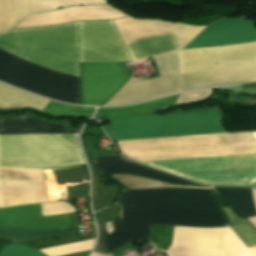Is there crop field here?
<instances>
[{"instance_id": "obj_27", "label": "crop field", "mask_w": 256, "mask_h": 256, "mask_svg": "<svg viewBox=\"0 0 256 256\" xmlns=\"http://www.w3.org/2000/svg\"><path fill=\"white\" fill-rule=\"evenodd\" d=\"M249 220L256 227V217L249 218Z\"/></svg>"}, {"instance_id": "obj_30", "label": "crop field", "mask_w": 256, "mask_h": 256, "mask_svg": "<svg viewBox=\"0 0 256 256\" xmlns=\"http://www.w3.org/2000/svg\"><path fill=\"white\" fill-rule=\"evenodd\" d=\"M91 256H101V255H98V254H95V253H92Z\"/></svg>"}, {"instance_id": "obj_10", "label": "crop field", "mask_w": 256, "mask_h": 256, "mask_svg": "<svg viewBox=\"0 0 256 256\" xmlns=\"http://www.w3.org/2000/svg\"><path fill=\"white\" fill-rule=\"evenodd\" d=\"M125 16L107 5L76 6L24 17L14 28L54 25L71 21L116 19Z\"/></svg>"}, {"instance_id": "obj_12", "label": "crop field", "mask_w": 256, "mask_h": 256, "mask_svg": "<svg viewBox=\"0 0 256 256\" xmlns=\"http://www.w3.org/2000/svg\"><path fill=\"white\" fill-rule=\"evenodd\" d=\"M0 225L29 229L70 227L67 214L41 217L39 204L0 209Z\"/></svg>"}, {"instance_id": "obj_14", "label": "crop field", "mask_w": 256, "mask_h": 256, "mask_svg": "<svg viewBox=\"0 0 256 256\" xmlns=\"http://www.w3.org/2000/svg\"><path fill=\"white\" fill-rule=\"evenodd\" d=\"M99 174L104 173H129L141 175L167 181L169 183L190 185L191 182L178 178L176 176L163 173L146 166L130 162L122 158L120 155L99 157L91 161ZM193 183V182H192Z\"/></svg>"}, {"instance_id": "obj_2", "label": "crop field", "mask_w": 256, "mask_h": 256, "mask_svg": "<svg viewBox=\"0 0 256 256\" xmlns=\"http://www.w3.org/2000/svg\"><path fill=\"white\" fill-rule=\"evenodd\" d=\"M0 49L40 66L78 76V22L0 32ZM1 50L0 81L80 104L79 78L26 62Z\"/></svg>"}, {"instance_id": "obj_29", "label": "crop field", "mask_w": 256, "mask_h": 256, "mask_svg": "<svg viewBox=\"0 0 256 256\" xmlns=\"http://www.w3.org/2000/svg\"><path fill=\"white\" fill-rule=\"evenodd\" d=\"M252 134H253V136H254V138H255V140H256V131H255V132H252Z\"/></svg>"}, {"instance_id": "obj_19", "label": "crop field", "mask_w": 256, "mask_h": 256, "mask_svg": "<svg viewBox=\"0 0 256 256\" xmlns=\"http://www.w3.org/2000/svg\"><path fill=\"white\" fill-rule=\"evenodd\" d=\"M94 241L95 239H92L84 242L64 245V246L40 250V251L45 253L47 256H62L66 254L89 250L92 248Z\"/></svg>"}, {"instance_id": "obj_15", "label": "crop field", "mask_w": 256, "mask_h": 256, "mask_svg": "<svg viewBox=\"0 0 256 256\" xmlns=\"http://www.w3.org/2000/svg\"><path fill=\"white\" fill-rule=\"evenodd\" d=\"M178 95L146 102L139 105L122 106L116 108H100L95 118L104 117L108 120L127 116L155 113L161 109L172 107Z\"/></svg>"}, {"instance_id": "obj_26", "label": "crop field", "mask_w": 256, "mask_h": 256, "mask_svg": "<svg viewBox=\"0 0 256 256\" xmlns=\"http://www.w3.org/2000/svg\"><path fill=\"white\" fill-rule=\"evenodd\" d=\"M99 227V241L94 251L103 254V223L98 224Z\"/></svg>"}, {"instance_id": "obj_21", "label": "crop field", "mask_w": 256, "mask_h": 256, "mask_svg": "<svg viewBox=\"0 0 256 256\" xmlns=\"http://www.w3.org/2000/svg\"><path fill=\"white\" fill-rule=\"evenodd\" d=\"M173 226L152 227L151 243L156 247L170 246L172 241Z\"/></svg>"}, {"instance_id": "obj_3", "label": "crop field", "mask_w": 256, "mask_h": 256, "mask_svg": "<svg viewBox=\"0 0 256 256\" xmlns=\"http://www.w3.org/2000/svg\"><path fill=\"white\" fill-rule=\"evenodd\" d=\"M121 218L106 232L104 254L136 240L149 239L153 225L230 226L213 190L162 188L124 190L117 199Z\"/></svg>"}, {"instance_id": "obj_9", "label": "crop field", "mask_w": 256, "mask_h": 256, "mask_svg": "<svg viewBox=\"0 0 256 256\" xmlns=\"http://www.w3.org/2000/svg\"><path fill=\"white\" fill-rule=\"evenodd\" d=\"M159 75L177 72L174 52L154 57ZM178 91V72L148 79L130 80L107 104L147 100Z\"/></svg>"}, {"instance_id": "obj_7", "label": "crop field", "mask_w": 256, "mask_h": 256, "mask_svg": "<svg viewBox=\"0 0 256 256\" xmlns=\"http://www.w3.org/2000/svg\"><path fill=\"white\" fill-rule=\"evenodd\" d=\"M117 30L125 45H131L167 34L180 32L196 27L153 20H134L130 17L114 20ZM204 27L178 33L185 46ZM177 34L151 41L127 46L132 60L170 52L182 48Z\"/></svg>"}, {"instance_id": "obj_8", "label": "crop field", "mask_w": 256, "mask_h": 256, "mask_svg": "<svg viewBox=\"0 0 256 256\" xmlns=\"http://www.w3.org/2000/svg\"><path fill=\"white\" fill-rule=\"evenodd\" d=\"M167 252L173 256H256V247L247 248L229 227H174Z\"/></svg>"}, {"instance_id": "obj_5", "label": "crop field", "mask_w": 256, "mask_h": 256, "mask_svg": "<svg viewBox=\"0 0 256 256\" xmlns=\"http://www.w3.org/2000/svg\"><path fill=\"white\" fill-rule=\"evenodd\" d=\"M68 132L64 123L51 124L22 117L0 120V135L58 134ZM78 134L0 136V166L52 168L82 164Z\"/></svg>"}, {"instance_id": "obj_23", "label": "crop field", "mask_w": 256, "mask_h": 256, "mask_svg": "<svg viewBox=\"0 0 256 256\" xmlns=\"http://www.w3.org/2000/svg\"><path fill=\"white\" fill-rule=\"evenodd\" d=\"M231 228L247 247L256 245V231L250 229L246 222Z\"/></svg>"}, {"instance_id": "obj_28", "label": "crop field", "mask_w": 256, "mask_h": 256, "mask_svg": "<svg viewBox=\"0 0 256 256\" xmlns=\"http://www.w3.org/2000/svg\"><path fill=\"white\" fill-rule=\"evenodd\" d=\"M253 80H256V70H255V73H254V75H253L251 81H253Z\"/></svg>"}, {"instance_id": "obj_22", "label": "crop field", "mask_w": 256, "mask_h": 256, "mask_svg": "<svg viewBox=\"0 0 256 256\" xmlns=\"http://www.w3.org/2000/svg\"><path fill=\"white\" fill-rule=\"evenodd\" d=\"M0 256H45L29 247L19 244H10L0 251Z\"/></svg>"}, {"instance_id": "obj_6", "label": "crop field", "mask_w": 256, "mask_h": 256, "mask_svg": "<svg viewBox=\"0 0 256 256\" xmlns=\"http://www.w3.org/2000/svg\"><path fill=\"white\" fill-rule=\"evenodd\" d=\"M79 61H131L113 21L79 22ZM79 62L81 104L104 105L130 78L122 62Z\"/></svg>"}, {"instance_id": "obj_24", "label": "crop field", "mask_w": 256, "mask_h": 256, "mask_svg": "<svg viewBox=\"0 0 256 256\" xmlns=\"http://www.w3.org/2000/svg\"><path fill=\"white\" fill-rule=\"evenodd\" d=\"M209 95H210V88L183 93V94H180L175 105L180 103H185V102L200 101L205 99Z\"/></svg>"}, {"instance_id": "obj_25", "label": "crop field", "mask_w": 256, "mask_h": 256, "mask_svg": "<svg viewBox=\"0 0 256 256\" xmlns=\"http://www.w3.org/2000/svg\"><path fill=\"white\" fill-rule=\"evenodd\" d=\"M222 211L224 212V214L226 215L230 225H237L240 224L242 222H244L243 220L237 218L232 211L230 210V208H221Z\"/></svg>"}, {"instance_id": "obj_17", "label": "crop field", "mask_w": 256, "mask_h": 256, "mask_svg": "<svg viewBox=\"0 0 256 256\" xmlns=\"http://www.w3.org/2000/svg\"><path fill=\"white\" fill-rule=\"evenodd\" d=\"M47 102L48 100L27 94L0 83V108L32 107L41 110Z\"/></svg>"}, {"instance_id": "obj_16", "label": "crop field", "mask_w": 256, "mask_h": 256, "mask_svg": "<svg viewBox=\"0 0 256 256\" xmlns=\"http://www.w3.org/2000/svg\"><path fill=\"white\" fill-rule=\"evenodd\" d=\"M216 191L228 202L235 215L247 218L256 215V190L249 188H215Z\"/></svg>"}, {"instance_id": "obj_13", "label": "crop field", "mask_w": 256, "mask_h": 256, "mask_svg": "<svg viewBox=\"0 0 256 256\" xmlns=\"http://www.w3.org/2000/svg\"><path fill=\"white\" fill-rule=\"evenodd\" d=\"M77 230H79V227L61 229V230H29V229L0 226V237L11 239V240H14V242H17V241H23V240L61 234V233L77 231ZM83 240H85V237L80 235L79 231H77V232H71V233H66L61 235L23 241L20 243L27 244L37 250H40V249L64 245L68 243L83 241Z\"/></svg>"}, {"instance_id": "obj_20", "label": "crop field", "mask_w": 256, "mask_h": 256, "mask_svg": "<svg viewBox=\"0 0 256 256\" xmlns=\"http://www.w3.org/2000/svg\"><path fill=\"white\" fill-rule=\"evenodd\" d=\"M94 108L90 107H75L65 106L49 101L43 108V112L51 113L54 115H66V114H89L91 115Z\"/></svg>"}, {"instance_id": "obj_4", "label": "crop field", "mask_w": 256, "mask_h": 256, "mask_svg": "<svg viewBox=\"0 0 256 256\" xmlns=\"http://www.w3.org/2000/svg\"><path fill=\"white\" fill-rule=\"evenodd\" d=\"M256 40L253 22L222 18L205 27L183 49ZM180 73L256 63V41L176 51ZM256 64L180 74V91L249 81Z\"/></svg>"}, {"instance_id": "obj_1", "label": "crop field", "mask_w": 256, "mask_h": 256, "mask_svg": "<svg viewBox=\"0 0 256 256\" xmlns=\"http://www.w3.org/2000/svg\"><path fill=\"white\" fill-rule=\"evenodd\" d=\"M103 129L112 140L225 132L215 109L159 117L112 120ZM123 155L138 161L255 154L250 132L220 133L117 141ZM210 185L256 183V154L142 163Z\"/></svg>"}, {"instance_id": "obj_11", "label": "crop field", "mask_w": 256, "mask_h": 256, "mask_svg": "<svg viewBox=\"0 0 256 256\" xmlns=\"http://www.w3.org/2000/svg\"><path fill=\"white\" fill-rule=\"evenodd\" d=\"M106 3L104 0H0V31L13 27L23 16L73 5Z\"/></svg>"}, {"instance_id": "obj_18", "label": "crop field", "mask_w": 256, "mask_h": 256, "mask_svg": "<svg viewBox=\"0 0 256 256\" xmlns=\"http://www.w3.org/2000/svg\"><path fill=\"white\" fill-rule=\"evenodd\" d=\"M113 176H115L117 179H119L128 189L160 188V187H183V188L212 189V188H206V187H185V186L171 185V184H167V183H162V182H157V181H153V180L137 178V177L128 176V175H113Z\"/></svg>"}]
</instances>
